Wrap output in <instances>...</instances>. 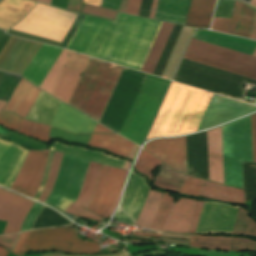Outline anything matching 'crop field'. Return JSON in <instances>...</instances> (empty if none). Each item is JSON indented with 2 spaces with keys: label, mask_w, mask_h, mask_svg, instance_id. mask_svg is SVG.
Segmentation results:
<instances>
[{
  "label": "crop field",
  "mask_w": 256,
  "mask_h": 256,
  "mask_svg": "<svg viewBox=\"0 0 256 256\" xmlns=\"http://www.w3.org/2000/svg\"><path fill=\"white\" fill-rule=\"evenodd\" d=\"M161 23L121 13L115 22L85 16L67 49L140 70Z\"/></svg>",
  "instance_id": "obj_1"
},
{
  "label": "crop field",
  "mask_w": 256,
  "mask_h": 256,
  "mask_svg": "<svg viewBox=\"0 0 256 256\" xmlns=\"http://www.w3.org/2000/svg\"><path fill=\"white\" fill-rule=\"evenodd\" d=\"M88 58L71 52L52 96L68 103ZM122 68L90 57L68 105L99 121Z\"/></svg>",
  "instance_id": "obj_2"
},
{
  "label": "crop field",
  "mask_w": 256,
  "mask_h": 256,
  "mask_svg": "<svg viewBox=\"0 0 256 256\" xmlns=\"http://www.w3.org/2000/svg\"><path fill=\"white\" fill-rule=\"evenodd\" d=\"M211 96L172 83L147 139L196 131Z\"/></svg>",
  "instance_id": "obj_3"
},
{
  "label": "crop field",
  "mask_w": 256,
  "mask_h": 256,
  "mask_svg": "<svg viewBox=\"0 0 256 256\" xmlns=\"http://www.w3.org/2000/svg\"><path fill=\"white\" fill-rule=\"evenodd\" d=\"M161 195L150 190L136 224L154 230L188 233L197 201L180 198L174 204V198L168 193L162 198Z\"/></svg>",
  "instance_id": "obj_4"
},
{
  "label": "crop field",
  "mask_w": 256,
  "mask_h": 256,
  "mask_svg": "<svg viewBox=\"0 0 256 256\" xmlns=\"http://www.w3.org/2000/svg\"><path fill=\"white\" fill-rule=\"evenodd\" d=\"M169 83V80L147 75L121 135L142 145Z\"/></svg>",
  "instance_id": "obj_5"
},
{
  "label": "crop field",
  "mask_w": 256,
  "mask_h": 256,
  "mask_svg": "<svg viewBox=\"0 0 256 256\" xmlns=\"http://www.w3.org/2000/svg\"><path fill=\"white\" fill-rule=\"evenodd\" d=\"M225 185L243 188L241 161L253 162L250 116L222 126Z\"/></svg>",
  "instance_id": "obj_6"
},
{
  "label": "crop field",
  "mask_w": 256,
  "mask_h": 256,
  "mask_svg": "<svg viewBox=\"0 0 256 256\" xmlns=\"http://www.w3.org/2000/svg\"><path fill=\"white\" fill-rule=\"evenodd\" d=\"M183 58L256 79V57L197 39H191Z\"/></svg>",
  "instance_id": "obj_7"
},
{
  "label": "crop field",
  "mask_w": 256,
  "mask_h": 256,
  "mask_svg": "<svg viewBox=\"0 0 256 256\" xmlns=\"http://www.w3.org/2000/svg\"><path fill=\"white\" fill-rule=\"evenodd\" d=\"M144 76L145 73L123 68L99 123L120 133Z\"/></svg>",
  "instance_id": "obj_8"
},
{
  "label": "crop field",
  "mask_w": 256,
  "mask_h": 256,
  "mask_svg": "<svg viewBox=\"0 0 256 256\" xmlns=\"http://www.w3.org/2000/svg\"><path fill=\"white\" fill-rule=\"evenodd\" d=\"M73 228L32 231L18 256L26 251H62L78 254H98L99 245L76 238Z\"/></svg>",
  "instance_id": "obj_9"
},
{
  "label": "crop field",
  "mask_w": 256,
  "mask_h": 256,
  "mask_svg": "<svg viewBox=\"0 0 256 256\" xmlns=\"http://www.w3.org/2000/svg\"><path fill=\"white\" fill-rule=\"evenodd\" d=\"M77 14L38 4L12 29L62 42Z\"/></svg>",
  "instance_id": "obj_10"
},
{
  "label": "crop field",
  "mask_w": 256,
  "mask_h": 256,
  "mask_svg": "<svg viewBox=\"0 0 256 256\" xmlns=\"http://www.w3.org/2000/svg\"><path fill=\"white\" fill-rule=\"evenodd\" d=\"M88 161L62 154L56 180L45 203L65 210L77 199L86 173Z\"/></svg>",
  "instance_id": "obj_11"
},
{
  "label": "crop field",
  "mask_w": 256,
  "mask_h": 256,
  "mask_svg": "<svg viewBox=\"0 0 256 256\" xmlns=\"http://www.w3.org/2000/svg\"><path fill=\"white\" fill-rule=\"evenodd\" d=\"M61 51L62 48L43 44L22 76L39 87ZM70 52L69 50L63 49L40 85L39 88L41 90L52 94Z\"/></svg>",
  "instance_id": "obj_12"
},
{
  "label": "crop field",
  "mask_w": 256,
  "mask_h": 256,
  "mask_svg": "<svg viewBox=\"0 0 256 256\" xmlns=\"http://www.w3.org/2000/svg\"><path fill=\"white\" fill-rule=\"evenodd\" d=\"M48 152L49 150L29 151L11 190L34 198L42 182Z\"/></svg>",
  "instance_id": "obj_13"
},
{
  "label": "crop field",
  "mask_w": 256,
  "mask_h": 256,
  "mask_svg": "<svg viewBox=\"0 0 256 256\" xmlns=\"http://www.w3.org/2000/svg\"><path fill=\"white\" fill-rule=\"evenodd\" d=\"M124 170L102 166L99 179L88 210L106 217L111 209L120 186Z\"/></svg>",
  "instance_id": "obj_14"
},
{
  "label": "crop field",
  "mask_w": 256,
  "mask_h": 256,
  "mask_svg": "<svg viewBox=\"0 0 256 256\" xmlns=\"http://www.w3.org/2000/svg\"><path fill=\"white\" fill-rule=\"evenodd\" d=\"M41 45L11 36L0 52V70L22 75Z\"/></svg>",
  "instance_id": "obj_15"
},
{
  "label": "crop field",
  "mask_w": 256,
  "mask_h": 256,
  "mask_svg": "<svg viewBox=\"0 0 256 256\" xmlns=\"http://www.w3.org/2000/svg\"><path fill=\"white\" fill-rule=\"evenodd\" d=\"M238 208L237 206L206 201L195 233L230 234Z\"/></svg>",
  "instance_id": "obj_16"
},
{
  "label": "crop field",
  "mask_w": 256,
  "mask_h": 256,
  "mask_svg": "<svg viewBox=\"0 0 256 256\" xmlns=\"http://www.w3.org/2000/svg\"><path fill=\"white\" fill-rule=\"evenodd\" d=\"M254 110L255 107L215 94L198 130L216 126Z\"/></svg>",
  "instance_id": "obj_17"
},
{
  "label": "crop field",
  "mask_w": 256,
  "mask_h": 256,
  "mask_svg": "<svg viewBox=\"0 0 256 256\" xmlns=\"http://www.w3.org/2000/svg\"><path fill=\"white\" fill-rule=\"evenodd\" d=\"M34 201L0 188V220L8 221L2 234L17 233Z\"/></svg>",
  "instance_id": "obj_18"
},
{
  "label": "crop field",
  "mask_w": 256,
  "mask_h": 256,
  "mask_svg": "<svg viewBox=\"0 0 256 256\" xmlns=\"http://www.w3.org/2000/svg\"><path fill=\"white\" fill-rule=\"evenodd\" d=\"M144 149L167 165L187 174L185 137L154 140L148 142Z\"/></svg>",
  "instance_id": "obj_19"
},
{
  "label": "crop field",
  "mask_w": 256,
  "mask_h": 256,
  "mask_svg": "<svg viewBox=\"0 0 256 256\" xmlns=\"http://www.w3.org/2000/svg\"><path fill=\"white\" fill-rule=\"evenodd\" d=\"M53 150L68 153V154H71V155L81 157V158L86 159V160H91V161H94V162H98V163H101V164L114 166V167L122 168L124 163H125L124 160L114 158V157H112L108 154H104L102 152L91 151V150H87V149H84V148H81V147H76V146H66V145H63L59 142H55L50 148L49 159H48V163H47V167H46L43 182L41 184V187H40L39 191L37 192V194L35 196V199H37V200H38L39 196L41 195V193L43 191V188L45 186L46 180H47Z\"/></svg>",
  "instance_id": "obj_20"
},
{
  "label": "crop field",
  "mask_w": 256,
  "mask_h": 256,
  "mask_svg": "<svg viewBox=\"0 0 256 256\" xmlns=\"http://www.w3.org/2000/svg\"><path fill=\"white\" fill-rule=\"evenodd\" d=\"M10 142L8 141H2L0 140V156L3 154V152L6 150V148L9 146ZM24 148L11 143V145L8 147V149L5 151V153L0 158V185L2 186L9 174L11 173L12 169L16 165L22 151ZM29 150L25 149L19 162L15 166L14 170L4 183V187L10 188L13 180L15 179L27 153Z\"/></svg>",
  "instance_id": "obj_21"
},
{
  "label": "crop field",
  "mask_w": 256,
  "mask_h": 256,
  "mask_svg": "<svg viewBox=\"0 0 256 256\" xmlns=\"http://www.w3.org/2000/svg\"><path fill=\"white\" fill-rule=\"evenodd\" d=\"M101 166L102 165L100 164H96L92 162L89 163L80 195L74 204L71 203L68 206L65 212H69L79 217H85V218H89L97 221L103 220V218H100L94 215L93 213L80 207L82 206L84 208H87L92 198V194L95 188V184H96L98 173Z\"/></svg>",
  "instance_id": "obj_22"
},
{
  "label": "crop field",
  "mask_w": 256,
  "mask_h": 256,
  "mask_svg": "<svg viewBox=\"0 0 256 256\" xmlns=\"http://www.w3.org/2000/svg\"><path fill=\"white\" fill-rule=\"evenodd\" d=\"M148 191L149 187L146 185L144 179L136 173L131 172L120 206L134 221H136L140 213Z\"/></svg>",
  "instance_id": "obj_23"
},
{
  "label": "crop field",
  "mask_w": 256,
  "mask_h": 256,
  "mask_svg": "<svg viewBox=\"0 0 256 256\" xmlns=\"http://www.w3.org/2000/svg\"><path fill=\"white\" fill-rule=\"evenodd\" d=\"M97 122L61 103L52 126L75 133L92 132Z\"/></svg>",
  "instance_id": "obj_24"
},
{
  "label": "crop field",
  "mask_w": 256,
  "mask_h": 256,
  "mask_svg": "<svg viewBox=\"0 0 256 256\" xmlns=\"http://www.w3.org/2000/svg\"><path fill=\"white\" fill-rule=\"evenodd\" d=\"M209 180L224 184L221 127L207 131Z\"/></svg>",
  "instance_id": "obj_25"
},
{
  "label": "crop field",
  "mask_w": 256,
  "mask_h": 256,
  "mask_svg": "<svg viewBox=\"0 0 256 256\" xmlns=\"http://www.w3.org/2000/svg\"><path fill=\"white\" fill-rule=\"evenodd\" d=\"M41 90L22 78L4 111L16 113L25 118Z\"/></svg>",
  "instance_id": "obj_26"
},
{
  "label": "crop field",
  "mask_w": 256,
  "mask_h": 256,
  "mask_svg": "<svg viewBox=\"0 0 256 256\" xmlns=\"http://www.w3.org/2000/svg\"><path fill=\"white\" fill-rule=\"evenodd\" d=\"M37 3L28 0H3L0 2V28L5 30L15 25Z\"/></svg>",
  "instance_id": "obj_27"
},
{
  "label": "crop field",
  "mask_w": 256,
  "mask_h": 256,
  "mask_svg": "<svg viewBox=\"0 0 256 256\" xmlns=\"http://www.w3.org/2000/svg\"><path fill=\"white\" fill-rule=\"evenodd\" d=\"M190 0H159L156 20L184 25Z\"/></svg>",
  "instance_id": "obj_28"
},
{
  "label": "crop field",
  "mask_w": 256,
  "mask_h": 256,
  "mask_svg": "<svg viewBox=\"0 0 256 256\" xmlns=\"http://www.w3.org/2000/svg\"><path fill=\"white\" fill-rule=\"evenodd\" d=\"M216 0H191L185 25L209 29Z\"/></svg>",
  "instance_id": "obj_29"
},
{
  "label": "crop field",
  "mask_w": 256,
  "mask_h": 256,
  "mask_svg": "<svg viewBox=\"0 0 256 256\" xmlns=\"http://www.w3.org/2000/svg\"><path fill=\"white\" fill-rule=\"evenodd\" d=\"M59 103L60 101L41 91L26 118L50 125L57 112Z\"/></svg>",
  "instance_id": "obj_30"
},
{
  "label": "crop field",
  "mask_w": 256,
  "mask_h": 256,
  "mask_svg": "<svg viewBox=\"0 0 256 256\" xmlns=\"http://www.w3.org/2000/svg\"><path fill=\"white\" fill-rule=\"evenodd\" d=\"M88 145L108 149L114 154L128 157L134 144L118 135L92 134Z\"/></svg>",
  "instance_id": "obj_31"
},
{
  "label": "crop field",
  "mask_w": 256,
  "mask_h": 256,
  "mask_svg": "<svg viewBox=\"0 0 256 256\" xmlns=\"http://www.w3.org/2000/svg\"><path fill=\"white\" fill-rule=\"evenodd\" d=\"M199 196L245 205L244 191L204 182Z\"/></svg>",
  "instance_id": "obj_32"
},
{
  "label": "crop field",
  "mask_w": 256,
  "mask_h": 256,
  "mask_svg": "<svg viewBox=\"0 0 256 256\" xmlns=\"http://www.w3.org/2000/svg\"><path fill=\"white\" fill-rule=\"evenodd\" d=\"M173 26L174 25L172 24L164 22L162 23L159 32L154 40V43L150 49V52L145 60V63L141 69L142 71L151 74L153 73Z\"/></svg>",
  "instance_id": "obj_33"
},
{
  "label": "crop field",
  "mask_w": 256,
  "mask_h": 256,
  "mask_svg": "<svg viewBox=\"0 0 256 256\" xmlns=\"http://www.w3.org/2000/svg\"><path fill=\"white\" fill-rule=\"evenodd\" d=\"M232 237L190 235L189 246L230 251Z\"/></svg>",
  "instance_id": "obj_34"
},
{
  "label": "crop field",
  "mask_w": 256,
  "mask_h": 256,
  "mask_svg": "<svg viewBox=\"0 0 256 256\" xmlns=\"http://www.w3.org/2000/svg\"><path fill=\"white\" fill-rule=\"evenodd\" d=\"M254 12L255 11L253 9L243 5L237 32H236L237 36H242V37L248 38L252 20H253V16H254ZM249 38L256 40V13H255V17H254V21H253V25H252V29H251Z\"/></svg>",
  "instance_id": "obj_35"
},
{
  "label": "crop field",
  "mask_w": 256,
  "mask_h": 256,
  "mask_svg": "<svg viewBox=\"0 0 256 256\" xmlns=\"http://www.w3.org/2000/svg\"><path fill=\"white\" fill-rule=\"evenodd\" d=\"M248 213L246 209L239 208L231 234H243L256 237V222L249 217Z\"/></svg>",
  "instance_id": "obj_36"
},
{
  "label": "crop field",
  "mask_w": 256,
  "mask_h": 256,
  "mask_svg": "<svg viewBox=\"0 0 256 256\" xmlns=\"http://www.w3.org/2000/svg\"><path fill=\"white\" fill-rule=\"evenodd\" d=\"M18 131L48 142L50 126L24 120Z\"/></svg>",
  "instance_id": "obj_37"
},
{
  "label": "crop field",
  "mask_w": 256,
  "mask_h": 256,
  "mask_svg": "<svg viewBox=\"0 0 256 256\" xmlns=\"http://www.w3.org/2000/svg\"><path fill=\"white\" fill-rule=\"evenodd\" d=\"M160 161L157 160L154 156L146 152L145 150H142L136 164L135 168L147 175L150 179H152L153 173L152 171L160 165Z\"/></svg>",
  "instance_id": "obj_38"
},
{
  "label": "crop field",
  "mask_w": 256,
  "mask_h": 256,
  "mask_svg": "<svg viewBox=\"0 0 256 256\" xmlns=\"http://www.w3.org/2000/svg\"><path fill=\"white\" fill-rule=\"evenodd\" d=\"M21 80V77L12 74L4 73L0 81V100L9 101L16 85Z\"/></svg>",
  "instance_id": "obj_39"
},
{
  "label": "crop field",
  "mask_w": 256,
  "mask_h": 256,
  "mask_svg": "<svg viewBox=\"0 0 256 256\" xmlns=\"http://www.w3.org/2000/svg\"><path fill=\"white\" fill-rule=\"evenodd\" d=\"M61 154L62 153L56 152V151H54V153H53V158H52V163H51V167H50L48 180H47L45 189H44L41 197L39 198V201H41V202H44V200L47 198V196L49 195V193L51 191V188H52L54 180H55L56 172L58 169V165L60 162Z\"/></svg>",
  "instance_id": "obj_40"
},
{
  "label": "crop field",
  "mask_w": 256,
  "mask_h": 256,
  "mask_svg": "<svg viewBox=\"0 0 256 256\" xmlns=\"http://www.w3.org/2000/svg\"><path fill=\"white\" fill-rule=\"evenodd\" d=\"M91 134L85 135H75L67 131H63L52 127L51 137L64 138L65 140L76 142V143H86L89 141Z\"/></svg>",
  "instance_id": "obj_41"
},
{
  "label": "crop field",
  "mask_w": 256,
  "mask_h": 256,
  "mask_svg": "<svg viewBox=\"0 0 256 256\" xmlns=\"http://www.w3.org/2000/svg\"><path fill=\"white\" fill-rule=\"evenodd\" d=\"M203 181H204L203 179H199V178H195L187 175L186 181L183 184V187L180 193L198 196Z\"/></svg>",
  "instance_id": "obj_42"
},
{
  "label": "crop field",
  "mask_w": 256,
  "mask_h": 256,
  "mask_svg": "<svg viewBox=\"0 0 256 256\" xmlns=\"http://www.w3.org/2000/svg\"><path fill=\"white\" fill-rule=\"evenodd\" d=\"M116 12L117 11L115 10L100 8V7L86 5V4H84L83 11H82V13L84 14L93 15L101 18L110 19V20H113Z\"/></svg>",
  "instance_id": "obj_43"
},
{
  "label": "crop field",
  "mask_w": 256,
  "mask_h": 256,
  "mask_svg": "<svg viewBox=\"0 0 256 256\" xmlns=\"http://www.w3.org/2000/svg\"><path fill=\"white\" fill-rule=\"evenodd\" d=\"M154 184L158 188L168 189L172 191L179 192L182 186V182L172 180L169 178L162 177L160 175L156 176L154 179Z\"/></svg>",
  "instance_id": "obj_44"
},
{
  "label": "crop field",
  "mask_w": 256,
  "mask_h": 256,
  "mask_svg": "<svg viewBox=\"0 0 256 256\" xmlns=\"http://www.w3.org/2000/svg\"><path fill=\"white\" fill-rule=\"evenodd\" d=\"M22 120V118L13 115L12 113L0 112V124L6 126L9 129L17 131Z\"/></svg>",
  "instance_id": "obj_45"
},
{
  "label": "crop field",
  "mask_w": 256,
  "mask_h": 256,
  "mask_svg": "<svg viewBox=\"0 0 256 256\" xmlns=\"http://www.w3.org/2000/svg\"><path fill=\"white\" fill-rule=\"evenodd\" d=\"M231 251H256V242L243 238H233Z\"/></svg>",
  "instance_id": "obj_46"
},
{
  "label": "crop field",
  "mask_w": 256,
  "mask_h": 256,
  "mask_svg": "<svg viewBox=\"0 0 256 256\" xmlns=\"http://www.w3.org/2000/svg\"><path fill=\"white\" fill-rule=\"evenodd\" d=\"M43 208H44V205L35 202V204L33 205L32 209L28 213V215H27V217H26V219L23 223L21 231L28 230V229L31 228V226L34 223L36 217L38 216V214L41 212V210Z\"/></svg>",
  "instance_id": "obj_47"
},
{
  "label": "crop field",
  "mask_w": 256,
  "mask_h": 256,
  "mask_svg": "<svg viewBox=\"0 0 256 256\" xmlns=\"http://www.w3.org/2000/svg\"><path fill=\"white\" fill-rule=\"evenodd\" d=\"M159 174L163 175V176H166V177H169V178L179 180V181H183V182H184V179H185V175L169 168L168 166H166L164 164H162V167L160 169Z\"/></svg>",
  "instance_id": "obj_48"
},
{
  "label": "crop field",
  "mask_w": 256,
  "mask_h": 256,
  "mask_svg": "<svg viewBox=\"0 0 256 256\" xmlns=\"http://www.w3.org/2000/svg\"><path fill=\"white\" fill-rule=\"evenodd\" d=\"M230 20L214 18L212 30L220 32H228Z\"/></svg>",
  "instance_id": "obj_49"
},
{
  "label": "crop field",
  "mask_w": 256,
  "mask_h": 256,
  "mask_svg": "<svg viewBox=\"0 0 256 256\" xmlns=\"http://www.w3.org/2000/svg\"><path fill=\"white\" fill-rule=\"evenodd\" d=\"M84 15L79 14L78 18L76 19L75 23L73 24L72 28L68 32L67 36L65 37L64 41L61 44V47L66 48L67 44L69 43L70 39L72 38L73 34L77 30L78 26L80 25L81 21L83 20Z\"/></svg>",
  "instance_id": "obj_50"
},
{
  "label": "crop field",
  "mask_w": 256,
  "mask_h": 256,
  "mask_svg": "<svg viewBox=\"0 0 256 256\" xmlns=\"http://www.w3.org/2000/svg\"><path fill=\"white\" fill-rule=\"evenodd\" d=\"M241 6H242L241 4L236 2L234 12H233V16H232L231 25H230L229 32H228L229 34H233V35L235 34V30H236V26H237L239 14H240Z\"/></svg>",
  "instance_id": "obj_51"
},
{
  "label": "crop field",
  "mask_w": 256,
  "mask_h": 256,
  "mask_svg": "<svg viewBox=\"0 0 256 256\" xmlns=\"http://www.w3.org/2000/svg\"><path fill=\"white\" fill-rule=\"evenodd\" d=\"M17 236H18V234L10 235V236H0V244L3 246H6L10 250L12 248Z\"/></svg>",
  "instance_id": "obj_52"
},
{
  "label": "crop field",
  "mask_w": 256,
  "mask_h": 256,
  "mask_svg": "<svg viewBox=\"0 0 256 256\" xmlns=\"http://www.w3.org/2000/svg\"><path fill=\"white\" fill-rule=\"evenodd\" d=\"M251 124H252V139H253V155H254V162H256V114L251 116Z\"/></svg>",
  "instance_id": "obj_53"
},
{
  "label": "crop field",
  "mask_w": 256,
  "mask_h": 256,
  "mask_svg": "<svg viewBox=\"0 0 256 256\" xmlns=\"http://www.w3.org/2000/svg\"><path fill=\"white\" fill-rule=\"evenodd\" d=\"M140 2L141 0H129L126 13L137 15Z\"/></svg>",
  "instance_id": "obj_54"
},
{
  "label": "crop field",
  "mask_w": 256,
  "mask_h": 256,
  "mask_svg": "<svg viewBox=\"0 0 256 256\" xmlns=\"http://www.w3.org/2000/svg\"><path fill=\"white\" fill-rule=\"evenodd\" d=\"M202 204H203V202L198 201L197 208H196V211H195V215H194V218H193V222H192V225H191V228H190V232H193V233L195 232L196 225H197L199 215H200V212H201Z\"/></svg>",
  "instance_id": "obj_55"
},
{
  "label": "crop field",
  "mask_w": 256,
  "mask_h": 256,
  "mask_svg": "<svg viewBox=\"0 0 256 256\" xmlns=\"http://www.w3.org/2000/svg\"><path fill=\"white\" fill-rule=\"evenodd\" d=\"M29 232H22L15 247L13 248V250L11 252H13L14 254L17 255V253L19 252V250L21 249L27 235H28Z\"/></svg>",
  "instance_id": "obj_56"
},
{
  "label": "crop field",
  "mask_w": 256,
  "mask_h": 256,
  "mask_svg": "<svg viewBox=\"0 0 256 256\" xmlns=\"http://www.w3.org/2000/svg\"><path fill=\"white\" fill-rule=\"evenodd\" d=\"M120 1L121 0H103L101 6L118 10Z\"/></svg>",
  "instance_id": "obj_57"
},
{
  "label": "crop field",
  "mask_w": 256,
  "mask_h": 256,
  "mask_svg": "<svg viewBox=\"0 0 256 256\" xmlns=\"http://www.w3.org/2000/svg\"><path fill=\"white\" fill-rule=\"evenodd\" d=\"M81 3H82V0H69L67 9L79 13Z\"/></svg>",
  "instance_id": "obj_58"
},
{
  "label": "crop field",
  "mask_w": 256,
  "mask_h": 256,
  "mask_svg": "<svg viewBox=\"0 0 256 256\" xmlns=\"http://www.w3.org/2000/svg\"><path fill=\"white\" fill-rule=\"evenodd\" d=\"M116 219L120 220V221H124L126 223H129L132 225L133 221L131 219H129L126 214L119 208L117 213H116Z\"/></svg>",
  "instance_id": "obj_59"
},
{
  "label": "crop field",
  "mask_w": 256,
  "mask_h": 256,
  "mask_svg": "<svg viewBox=\"0 0 256 256\" xmlns=\"http://www.w3.org/2000/svg\"><path fill=\"white\" fill-rule=\"evenodd\" d=\"M68 0H52V6L66 9Z\"/></svg>",
  "instance_id": "obj_60"
},
{
  "label": "crop field",
  "mask_w": 256,
  "mask_h": 256,
  "mask_svg": "<svg viewBox=\"0 0 256 256\" xmlns=\"http://www.w3.org/2000/svg\"><path fill=\"white\" fill-rule=\"evenodd\" d=\"M127 171H124V175H123V179H122V182H121V186H120V189H119V193H118V196H117V199L111 209V211L109 212L108 216L109 217L111 215V213L113 212V210L115 209L116 205H117V202L119 200V197H120V193H121V189H122V186H123V182H124V178H125V175H126Z\"/></svg>",
  "instance_id": "obj_61"
},
{
  "label": "crop field",
  "mask_w": 256,
  "mask_h": 256,
  "mask_svg": "<svg viewBox=\"0 0 256 256\" xmlns=\"http://www.w3.org/2000/svg\"><path fill=\"white\" fill-rule=\"evenodd\" d=\"M94 132L113 133V132L109 131L108 129H106L105 127L101 126L100 124H97Z\"/></svg>",
  "instance_id": "obj_62"
},
{
  "label": "crop field",
  "mask_w": 256,
  "mask_h": 256,
  "mask_svg": "<svg viewBox=\"0 0 256 256\" xmlns=\"http://www.w3.org/2000/svg\"><path fill=\"white\" fill-rule=\"evenodd\" d=\"M157 1H158V0H153V4H152L150 16H149V18H151V19H153V17H154V13H155L154 8L156 9Z\"/></svg>",
  "instance_id": "obj_63"
},
{
  "label": "crop field",
  "mask_w": 256,
  "mask_h": 256,
  "mask_svg": "<svg viewBox=\"0 0 256 256\" xmlns=\"http://www.w3.org/2000/svg\"><path fill=\"white\" fill-rule=\"evenodd\" d=\"M101 1L102 0H84L83 2L100 6Z\"/></svg>",
  "instance_id": "obj_64"
},
{
  "label": "crop field",
  "mask_w": 256,
  "mask_h": 256,
  "mask_svg": "<svg viewBox=\"0 0 256 256\" xmlns=\"http://www.w3.org/2000/svg\"><path fill=\"white\" fill-rule=\"evenodd\" d=\"M134 235H143V236H156V237H161L162 235L159 234H151V233H140V232H134Z\"/></svg>",
  "instance_id": "obj_65"
},
{
  "label": "crop field",
  "mask_w": 256,
  "mask_h": 256,
  "mask_svg": "<svg viewBox=\"0 0 256 256\" xmlns=\"http://www.w3.org/2000/svg\"><path fill=\"white\" fill-rule=\"evenodd\" d=\"M128 0H122L119 11L125 12Z\"/></svg>",
  "instance_id": "obj_66"
},
{
  "label": "crop field",
  "mask_w": 256,
  "mask_h": 256,
  "mask_svg": "<svg viewBox=\"0 0 256 256\" xmlns=\"http://www.w3.org/2000/svg\"><path fill=\"white\" fill-rule=\"evenodd\" d=\"M1 252H2V253H1ZM0 253H1L0 256H6L7 253H8V251H6L4 248H2V247L0 246Z\"/></svg>",
  "instance_id": "obj_67"
},
{
  "label": "crop field",
  "mask_w": 256,
  "mask_h": 256,
  "mask_svg": "<svg viewBox=\"0 0 256 256\" xmlns=\"http://www.w3.org/2000/svg\"><path fill=\"white\" fill-rule=\"evenodd\" d=\"M0 133L3 134V135H8V134H10V132H8V131H6V130H4V129H2V128H0Z\"/></svg>",
  "instance_id": "obj_68"
},
{
  "label": "crop field",
  "mask_w": 256,
  "mask_h": 256,
  "mask_svg": "<svg viewBox=\"0 0 256 256\" xmlns=\"http://www.w3.org/2000/svg\"><path fill=\"white\" fill-rule=\"evenodd\" d=\"M7 103L0 101V111L5 107Z\"/></svg>",
  "instance_id": "obj_69"
},
{
  "label": "crop field",
  "mask_w": 256,
  "mask_h": 256,
  "mask_svg": "<svg viewBox=\"0 0 256 256\" xmlns=\"http://www.w3.org/2000/svg\"><path fill=\"white\" fill-rule=\"evenodd\" d=\"M36 1L43 2V3L49 4V5L51 3V0H36Z\"/></svg>",
  "instance_id": "obj_70"
},
{
  "label": "crop field",
  "mask_w": 256,
  "mask_h": 256,
  "mask_svg": "<svg viewBox=\"0 0 256 256\" xmlns=\"http://www.w3.org/2000/svg\"><path fill=\"white\" fill-rule=\"evenodd\" d=\"M250 4L256 6V0H252Z\"/></svg>",
  "instance_id": "obj_71"
},
{
  "label": "crop field",
  "mask_w": 256,
  "mask_h": 256,
  "mask_svg": "<svg viewBox=\"0 0 256 256\" xmlns=\"http://www.w3.org/2000/svg\"><path fill=\"white\" fill-rule=\"evenodd\" d=\"M253 55L256 56V50H255V52L253 53Z\"/></svg>",
  "instance_id": "obj_72"
},
{
  "label": "crop field",
  "mask_w": 256,
  "mask_h": 256,
  "mask_svg": "<svg viewBox=\"0 0 256 256\" xmlns=\"http://www.w3.org/2000/svg\"><path fill=\"white\" fill-rule=\"evenodd\" d=\"M35 1V0H34Z\"/></svg>",
  "instance_id": "obj_73"
}]
</instances>
